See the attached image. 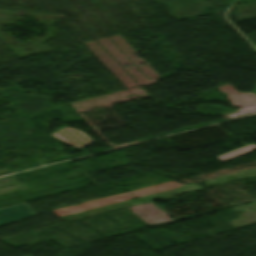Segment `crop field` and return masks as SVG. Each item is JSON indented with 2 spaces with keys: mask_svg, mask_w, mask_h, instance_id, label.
I'll list each match as a JSON object with an SVG mask.
<instances>
[{
  "mask_svg": "<svg viewBox=\"0 0 256 256\" xmlns=\"http://www.w3.org/2000/svg\"><path fill=\"white\" fill-rule=\"evenodd\" d=\"M37 214L25 203L0 208V226L27 219Z\"/></svg>",
  "mask_w": 256,
  "mask_h": 256,
  "instance_id": "1",
  "label": "crop field"
},
{
  "mask_svg": "<svg viewBox=\"0 0 256 256\" xmlns=\"http://www.w3.org/2000/svg\"><path fill=\"white\" fill-rule=\"evenodd\" d=\"M52 137L72 146L77 149H80L92 142L91 139L87 134H85L81 130H77L74 128L66 127L60 131L50 134Z\"/></svg>",
  "mask_w": 256,
  "mask_h": 256,
  "instance_id": "2",
  "label": "crop field"
},
{
  "mask_svg": "<svg viewBox=\"0 0 256 256\" xmlns=\"http://www.w3.org/2000/svg\"><path fill=\"white\" fill-rule=\"evenodd\" d=\"M256 149V145L251 143L249 145L243 146L241 148L235 149L233 151L227 152L225 154H222L220 156H217L219 159H221L222 161L226 162L228 160H231L233 158H236L238 156H241L245 153H248L250 151H253Z\"/></svg>",
  "mask_w": 256,
  "mask_h": 256,
  "instance_id": "3",
  "label": "crop field"
},
{
  "mask_svg": "<svg viewBox=\"0 0 256 256\" xmlns=\"http://www.w3.org/2000/svg\"><path fill=\"white\" fill-rule=\"evenodd\" d=\"M7 172H10V170L9 169L0 170V174L7 173Z\"/></svg>",
  "mask_w": 256,
  "mask_h": 256,
  "instance_id": "4",
  "label": "crop field"
}]
</instances>
